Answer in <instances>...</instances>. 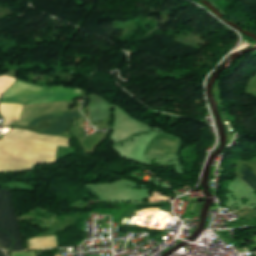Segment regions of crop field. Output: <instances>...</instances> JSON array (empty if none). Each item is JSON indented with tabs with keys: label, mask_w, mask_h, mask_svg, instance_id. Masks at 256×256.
<instances>
[{
	"label": "crop field",
	"mask_w": 256,
	"mask_h": 256,
	"mask_svg": "<svg viewBox=\"0 0 256 256\" xmlns=\"http://www.w3.org/2000/svg\"><path fill=\"white\" fill-rule=\"evenodd\" d=\"M14 141L0 140V163ZM56 147L15 141L2 164L34 165L40 161H54Z\"/></svg>",
	"instance_id": "crop-field-1"
},
{
	"label": "crop field",
	"mask_w": 256,
	"mask_h": 256,
	"mask_svg": "<svg viewBox=\"0 0 256 256\" xmlns=\"http://www.w3.org/2000/svg\"><path fill=\"white\" fill-rule=\"evenodd\" d=\"M80 91L81 90H78L75 88H63L60 86L53 87V88L31 86L17 80L15 84L6 93H4L3 97L47 93V92L80 93ZM77 116H79V114L76 112V110L45 115L34 120L32 123L29 124V126L36 125L40 120L54 118L55 122L51 126H49L42 134L60 136L65 131L67 126L70 124L72 117H77Z\"/></svg>",
	"instance_id": "crop-field-2"
},
{
	"label": "crop field",
	"mask_w": 256,
	"mask_h": 256,
	"mask_svg": "<svg viewBox=\"0 0 256 256\" xmlns=\"http://www.w3.org/2000/svg\"><path fill=\"white\" fill-rule=\"evenodd\" d=\"M0 228L8 231L14 239L11 251L24 250L10 196V190L5 189H0Z\"/></svg>",
	"instance_id": "crop-field-3"
},
{
	"label": "crop field",
	"mask_w": 256,
	"mask_h": 256,
	"mask_svg": "<svg viewBox=\"0 0 256 256\" xmlns=\"http://www.w3.org/2000/svg\"><path fill=\"white\" fill-rule=\"evenodd\" d=\"M2 140H22V141H34L52 145L68 146L67 139L59 137L45 136L36 133L29 132L27 130L12 129L8 133L0 136Z\"/></svg>",
	"instance_id": "crop-field-4"
},
{
	"label": "crop field",
	"mask_w": 256,
	"mask_h": 256,
	"mask_svg": "<svg viewBox=\"0 0 256 256\" xmlns=\"http://www.w3.org/2000/svg\"><path fill=\"white\" fill-rule=\"evenodd\" d=\"M17 202L24 213L36 207L55 209L56 197L35 195L27 192H14Z\"/></svg>",
	"instance_id": "crop-field-5"
},
{
	"label": "crop field",
	"mask_w": 256,
	"mask_h": 256,
	"mask_svg": "<svg viewBox=\"0 0 256 256\" xmlns=\"http://www.w3.org/2000/svg\"><path fill=\"white\" fill-rule=\"evenodd\" d=\"M180 146L179 140L160 133L154 137L144 150V155L149 154H176Z\"/></svg>",
	"instance_id": "crop-field-6"
},
{
	"label": "crop field",
	"mask_w": 256,
	"mask_h": 256,
	"mask_svg": "<svg viewBox=\"0 0 256 256\" xmlns=\"http://www.w3.org/2000/svg\"><path fill=\"white\" fill-rule=\"evenodd\" d=\"M21 107L20 104L0 103V115L4 118L1 126H8L11 121H19Z\"/></svg>",
	"instance_id": "crop-field-7"
},
{
	"label": "crop field",
	"mask_w": 256,
	"mask_h": 256,
	"mask_svg": "<svg viewBox=\"0 0 256 256\" xmlns=\"http://www.w3.org/2000/svg\"><path fill=\"white\" fill-rule=\"evenodd\" d=\"M91 120L101 121L108 116L109 104L102 99L94 97V119H93V97H89Z\"/></svg>",
	"instance_id": "crop-field-8"
},
{
	"label": "crop field",
	"mask_w": 256,
	"mask_h": 256,
	"mask_svg": "<svg viewBox=\"0 0 256 256\" xmlns=\"http://www.w3.org/2000/svg\"><path fill=\"white\" fill-rule=\"evenodd\" d=\"M155 135H157V133H152V134H148V135L139 137L132 148L130 157L134 158V159L142 160V152H143L145 146L150 141V139Z\"/></svg>",
	"instance_id": "crop-field-9"
},
{
	"label": "crop field",
	"mask_w": 256,
	"mask_h": 256,
	"mask_svg": "<svg viewBox=\"0 0 256 256\" xmlns=\"http://www.w3.org/2000/svg\"><path fill=\"white\" fill-rule=\"evenodd\" d=\"M30 249H43L56 247L55 237L30 238L28 239Z\"/></svg>",
	"instance_id": "crop-field-10"
},
{
	"label": "crop field",
	"mask_w": 256,
	"mask_h": 256,
	"mask_svg": "<svg viewBox=\"0 0 256 256\" xmlns=\"http://www.w3.org/2000/svg\"><path fill=\"white\" fill-rule=\"evenodd\" d=\"M242 173V177H240L241 179H243L251 188H253L254 190L256 189V176L251 173L248 169H246L244 166L241 170Z\"/></svg>",
	"instance_id": "crop-field-11"
},
{
	"label": "crop field",
	"mask_w": 256,
	"mask_h": 256,
	"mask_svg": "<svg viewBox=\"0 0 256 256\" xmlns=\"http://www.w3.org/2000/svg\"><path fill=\"white\" fill-rule=\"evenodd\" d=\"M14 78L2 76L0 77V95L4 90L12 85Z\"/></svg>",
	"instance_id": "crop-field-12"
},
{
	"label": "crop field",
	"mask_w": 256,
	"mask_h": 256,
	"mask_svg": "<svg viewBox=\"0 0 256 256\" xmlns=\"http://www.w3.org/2000/svg\"><path fill=\"white\" fill-rule=\"evenodd\" d=\"M27 169H32V167L31 166L0 165V172L27 170Z\"/></svg>",
	"instance_id": "crop-field-13"
},
{
	"label": "crop field",
	"mask_w": 256,
	"mask_h": 256,
	"mask_svg": "<svg viewBox=\"0 0 256 256\" xmlns=\"http://www.w3.org/2000/svg\"><path fill=\"white\" fill-rule=\"evenodd\" d=\"M11 244H12L11 241L0 239V246H3L5 248H7V249H10Z\"/></svg>",
	"instance_id": "crop-field-14"
},
{
	"label": "crop field",
	"mask_w": 256,
	"mask_h": 256,
	"mask_svg": "<svg viewBox=\"0 0 256 256\" xmlns=\"http://www.w3.org/2000/svg\"><path fill=\"white\" fill-rule=\"evenodd\" d=\"M10 256H34V253L33 251L29 253L18 252V253H10Z\"/></svg>",
	"instance_id": "crop-field-15"
},
{
	"label": "crop field",
	"mask_w": 256,
	"mask_h": 256,
	"mask_svg": "<svg viewBox=\"0 0 256 256\" xmlns=\"http://www.w3.org/2000/svg\"><path fill=\"white\" fill-rule=\"evenodd\" d=\"M0 238H4V239H7V240H11V237L9 234H6L5 232H3L2 230H0Z\"/></svg>",
	"instance_id": "crop-field-16"
},
{
	"label": "crop field",
	"mask_w": 256,
	"mask_h": 256,
	"mask_svg": "<svg viewBox=\"0 0 256 256\" xmlns=\"http://www.w3.org/2000/svg\"><path fill=\"white\" fill-rule=\"evenodd\" d=\"M0 256H5V254L0 250Z\"/></svg>",
	"instance_id": "crop-field-17"
}]
</instances>
